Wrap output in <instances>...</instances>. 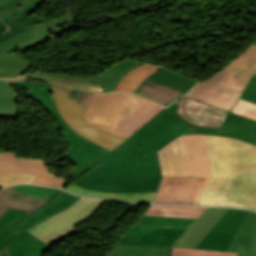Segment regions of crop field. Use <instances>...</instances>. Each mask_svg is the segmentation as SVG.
Segmentation results:
<instances>
[{"label": "crop field", "mask_w": 256, "mask_h": 256, "mask_svg": "<svg viewBox=\"0 0 256 256\" xmlns=\"http://www.w3.org/2000/svg\"><path fill=\"white\" fill-rule=\"evenodd\" d=\"M228 208L208 207L199 219L176 242L175 247L195 248Z\"/></svg>", "instance_id": "17"}, {"label": "crop field", "mask_w": 256, "mask_h": 256, "mask_svg": "<svg viewBox=\"0 0 256 256\" xmlns=\"http://www.w3.org/2000/svg\"><path fill=\"white\" fill-rule=\"evenodd\" d=\"M240 98L256 103V92L245 89Z\"/></svg>", "instance_id": "43"}, {"label": "crop field", "mask_w": 256, "mask_h": 256, "mask_svg": "<svg viewBox=\"0 0 256 256\" xmlns=\"http://www.w3.org/2000/svg\"><path fill=\"white\" fill-rule=\"evenodd\" d=\"M195 219L142 215L135 225L146 227L188 228Z\"/></svg>", "instance_id": "31"}, {"label": "crop field", "mask_w": 256, "mask_h": 256, "mask_svg": "<svg viewBox=\"0 0 256 256\" xmlns=\"http://www.w3.org/2000/svg\"><path fill=\"white\" fill-rule=\"evenodd\" d=\"M252 78H253V77H252ZM246 89H250V90L256 91V75H255L254 78L248 83V85L246 86Z\"/></svg>", "instance_id": "45"}, {"label": "crop field", "mask_w": 256, "mask_h": 256, "mask_svg": "<svg viewBox=\"0 0 256 256\" xmlns=\"http://www.w3.org/2000/svg\"><path fill=\"white\" fill-rule=\"evenodd\" d=\"M247 213V210L229 208L196 248L228 251Z\"/></svg>", "instance_id": "11"}, {"label": "crop field", "mask_w": 256, "mask_h": 256, "mask_svg": "<svg viewBox=\"0 0 256 256\" xmlns=\"http://www.w3.org/2000/svg\"><path fill=\"white\" fill-rule=\"evenodd\" d=\"M68 22H74L70 5L68 6L67 13L64 16H62L56 20L34 24V26L38 29V31L42 35L22 44L8 52H14L17 50L26 52L30 48H33V47L47 41V39L44 36H47V35L53 33L51 31L52 29L63 26L65 24H67Z\"/></svg>", "instance_id": "24"}, {"label": "crop field", "mask_w": 256, "mask_h": 256, "mask_svg": "<svg viewBox=\"0 0 256 256\" xmlns=\"http://www.w3.org/2000/svg\"><path fill=\"white\" fill-rule=\"evenodd\" d=\"M19 190L24 191L28 194L31 195H36V196H42V197H48L51 198L54 195H56V192H50V191H44V190H37V189H31L26 187L25 185H17L16 186Z\"/></svg>", "instance_id": "42"}, {"label": "crop field", "mask_w": 256, "mask_h": 256, "mask_svg": "<svg viewBox=\"0 0 256 256\" xmlns=\"http://www.w3.org/2000/svg\"><path fill=\"white\" fill-rule=\"evenodd\" d=\"M103 202L101 199L81 197L69 208L26 230L50 246L79 232L72 226L89 217Z\"/></svg>", "instance_id": "6"}, {"label": "crop field", "mask_w": 256, "mask_h": 256, "mask_svg": "<svg viewBox=\"0 0 256 256\" xmlns=\"http://www.w3.org/2000/svg\"><path fill=\"white\" fill-rule=\"evenodd\" d=\"M175 103L180 105L177 114L194 127L220 128L228 113L226 110L184 97Z\"/></svg>", "instance_id": "13"}, {"label": "crop field", "mask_w": 256, "mask_h": 256, "mask_svg": "<svg viewBox=\"0 0 256 256\" xmlns=\"http://www.w3.org/2000/svg\"><path fill=\"white\" fill-rule=\"evenodd\" d=\"M51 89L62 118L76 133L111 151L126 140L124 137L84 122L85 110L68 98L70 93L53 85H51Z\"/></svg>", "instance_id": "8"}, {"label": "crop field", "mask_w": 256, "mask_h": 256, "mask_svg": "<svg viewBox=\"0 0 256 256\" xmlns=\"http://www.w3.org/2000/svg\"><path fill=\"white\" fill-rule=\"evenodd\" d=\"M91 94V92L73 88L69 98L85 109Z\"/></svg>", "instance_id": "41"}, {"label": "crop field", "mask_w": 256, "mask_h": 256, "mask_svg": "<svg viewBox=\"0 0 256 256\" xmlns=\"http://www.w3.org/2000/svg\"><path fill=\"white\" fill-rule=\"evenodd\" d=\"M172 248L115 244L105 256H171Z\"/></svg>", "instance_id": "28"}, {"label": "crop field", "mask_w": 256, "mask_h": 256, "mask_svg": "<svg viewBox=\"0 0 256 256\" xmlns=\"http://www.w3.org/2000/svg\"><path fill=\"white\" fill-rule=\"evenodd\" d=\"M190 133L229 136L256 145V121L230 112L220 129L192 127L185 134Z\"/></svg>", "instance_id": "16"}, {"label": "crop field", "mask_w": 256, "mask_h": 256, "mask_svg": "<svg viewBox=\"0 0 256 256\" xmlns=\"http://www.w3.org/2000/svg\"><path fill=\"white\" fill-rule=\"evenodd\" d=\"M164 107L133 93H94L84 121L128 138Z\"/></svg>", "instance_id": "2"}, {"label": "crop field", "mask_w": 256, "mask_h": 256, "mask_svg": "<svg viewBox=\"0 0 256 256\" xmlns=\"http://www.w3.org/2000/svg\"><path fill=\"white\" fill-rule=\"evenodd\" d=\"M249 256H256V228L254 231L253 242H252Z\"/></svg>", "instance_id": "44"}, {"label": "crop field", "mask_w": 256, "mask_h": 256, "mask_svg": "<svg viewBox=\"0 0 256 256\" xmlns=\"http://www.w3.org/2000/svg\"><path fill=\"white\" fill-rule=\"evenodd\" d=\"M159 69V67L151 65H141L134 70L127 73L116 85L114 91L123 90L134 92L138 85L143 81L144 78L150 76V74Z\"/></svg>", "instance_id": "30"}, {"label": "crop field", "mask_w": 256, "mask_h": 256, "mask_svg": "<svg viewBox=\"0 0 256 256\" xmlns=\"http://www.w3.org/2000/svg\"><path fill=\"white\" fill-rule=\"evenodd\" d=\"M65 189L80 195L95 196L100 198L115 199L127 202H148L151 203L156 192H138V193H104L92 191L75 185H69Z\"/></svg>", "instance_id": "23"}, {"label": "crop field", "mask_w": 256, "mask_h": 256, "mask_svg": "<svg viewBox=\"0 0 256 256\" xmlns=\"http://www.w3.org/2000/svg\"><path fill=\"white\" fill-rule=\"evenodd\" d=\"M65 137L70 145L67 153L68 159L71 163L77 166L69 173L72 180L77 178L81 173L89 169L106 154L111 152L83 137Z\"/></svg>", "instance_id": "14"}, {"label": "crop field", "mask_w": 256, "mask_h": 256, "mask_svg": "<svg viewBox=\"0 0 256 256\" xmlns=\"http://www.w3.org/2000/svg\"><path fill=\"white\" fill-rule=\"evenodd\" d=\"M206 207L151 205L144 215L197 218Z\"/></svg>", "instance_id": "29"}, {"label": "crop field", "mask_w": 256, "mask_h": 256, "mask_svg": "<svg viewBox=\"0 0 256 256\" xmlns=\"http://www.w3.org/2000/svg\"><path fill=\"white\" fill-rule=\"evenodd\" d=\"M240 94L199 82L185 97L230 111Z\"/></svg>", "instance_id": "18"}, {"label": "crop field", "mask_w": 256, "mask_h": 256, "mask_svg": "<svg viewBox=\"0 0 256 256\" xmlns=\"http://www.w3.org/2000/svg\"><path fill=\"white\" fill-rule=\"evenodd\" d=\"M172 104L74 183L104 192L156 191L162 177L156 151L192 126Z\"/></svg>", "instance_id": "1"}, {"label": "crop field", "mask_w": 256, "mask_h": 256, "mask_svg": "<svg viewBox=\"0 0 256 256\" xmlns=\"http://www.w3.org/2000/svg\"><path fill=\"white\" fill-rule=\"evenodd\" d=\"M27 78V76H23V77H21V78H18V79H9V80H7L8 82H12V81H20V80H24V79H26Z\"/></svg>", "instance_id": "49"}, {"label": "crop field", "mask_w": 256, "mask_h": 256, "mask_svg": "<svg viewBox=\"0 0 256 256\" xmlns=\"http://www.w3.org/2000/svg\"><path fill=\"white\" fill-rule=\"evenodd\" d=\"M206 178H163L153 203L192 204Z\"/></svg>", "instance_id": "12"}, {"label": "crop field", "mask_w": 256, "mask_h": 256, "mask_svg": "<svg viewBox=\"0 0 256 256\" xmlns=\"http://www.w3.org/2000/svg\"><path fill=\"white\" fill-rule=\"evenodd\" d=\"M12 173H35L32 183L59 188L67 182L49 172L44 159L18 158L15 153H0V175Z\"/></svg>", "instance_id": "10"}, {"label": "crop field", "mask_w": 256, "mask_h": 256, "mask_svg": "<svg viewBox=\"0 0 256 256\" xmlns=\"http://www.w3.org/2000/svg\"><path fill=\"white\" fill-rule=\"evenodd\" d=\"M29 75L40 78V79L53 81V82H57V83H61V84L72 85V86H76L79 88H83V89H87V90H91V91H95V92H99V93H102V91H103V88H101V86L93 85L90 83L79 82V81H74V80H69V79H63V78L42 75V74H37V73H33V74H29Z\"/></svg>", "instance_id": "36"}, {"label": "crop field", "mask_w": 256, "mask_h": 256, "mask_svg": "<svg viewBox=\"0 0 256 256\" xmlns=\"http://www.w3.org/2000/svg\"><path fill=\"white\" fill-rule=\"evenodd\" d=\"M236 58V57H235ZM256 72V45L252 44L236 59L205 82L242 92L247 81Z\"/></svg>", "instance_id": "9"}, {"label": "crop field", "mask_w": 256, "mask_h": 256, "mask_svg": "<svg viewBox=\"0 0 256 256\" xmlns=\"http://www.w3.org/2000/svg\"><path fill=\"white\" fill-rule=\"evenodd\" d=\"M8 84V83H7ZM4 80H0V118L16 119L17 97Z\"/></svg>", "instance_id": "32"}, {"label": "crop field", "mask_w": 256, "mask_h": 256, "mask_svg": "<svg viewBox=\"0 0 256 256\" xmlns=\"http://www.w3.org/2000/svg\"><path fill=\"white\" fill-rule=\"evenodd\" d=\"M27 186L32 187V188H37V189H44V190H50V191L60 192V189H55V188L38 187V186H30V185H27Z\"/></svg>", "instance_id": "46"}, {"label": "crop field", "mask_w": 256, "mask_h": 256, "mask_svg": "<svg viewBox=\"0 0 256 256\" xmlns=\"http://www.w3.org/2000/svg\"><path fill=\"white\" fill-rule=\"evenodd\" d=\"M34 174H12L0 176V187L16 183H31Z\"/></svg>", "instance_id": "39"}, {"label": "crop field", "mask_w": 256, "mask_h": 256, "mask_svg": "<svg viewBox=\"0 0 256 256\" xmlns=\"http://www.w3.org/2000/svg\"><path fill=\"white\" fill-rule=\"evenodd\" d=\"M141 64H143V63H139V62H135V61H131V60L127 59V60L105 70L104 72H102L101 74H99L98 76L93 77V78L61 75V74H48V73H42V72H37V73L48 74V75H53V76H58V77H64V78L99 84L105 88L104 92H109V91H113L115 85L127 72H129L130 70H132L133 68H135Z\"/></svg>", "instance_id": "20"}, {"label": "crop field", "mask_w": 256, "mask_h": 256, "mask_svg": "<svg viewBox=\"0 0 256 256\" xmlns=\"http://www.w3.org/2000/svg\"><path fill=\"white\" fill-rule=\"evenodd\" d=\"M163 177H208L193 204H198L212 178L209 154L204 135H182L157 152Z\"/></svg>", "instance_id": "4"}, {"label": "crop field", "mask_w": 256, "mask_h": 256, "mask_svg": "<svg viewBox=\"0 0 256 256\" xmlns=\"http://www.w3.org/2000/svg\"><path fill=\"white\" fill-rule=\"evenodd\" d=\"M135 93L150 98L164 106H167L183 95L178 91H175L148 78L139 85Z\"/></svg>", "instance_id": "22"}, {"label": "crop field", "mask_w": 256, "mask_h": 256, "mask_svg": "<svg viewBox=\"0 0 256 256\" xmlns=\"http://www.w3.org/2000/svg\"><path fill=\"white\" fill-rule=\"evenodd\" d=\"M0 25H3L2 21L0 20Z\"/></svg>", "instance_id": "51"}, {"label": "crop field", "mask_w": 256, "mask_h": 256, "mask_svg": "<svg viewBox=\"0 0 256 256\" xmlns=\"http://www.w3.org/2000/svg\"><path fill=\"white\" fill-rule=\"evenodd\" d=\"M149 78L183 93L188 92L197 82V80L195 79L172 72L164 68H161L156 72L152 73Z\"/></svg>", "instance_id": "26"}, {"label": "crop field", "mask_w": 256, "mask_h": 256, "mask_svg": "<svg viewBox=\"0 0 256 256\" xmlns=\"http://www.w3.org/2000/svg\"><path fill=\"white\" fill-rule=\"evenodd\" d=\"M43 2L44 0H0V19L9 26L32 14Z\"/></svg>", "instance_id": "21"}, {"label": "crop field", "mask_w": 256, "mask_h": 256, "mask_svg": "<svg viewBox=\"0 0 256 256\" xmlns=\"http://www.w3.org/2000/svg\"><path fill=\"white\" fill-rule=\"evenodd\" d=\"M255 44H256V41H255Z\"/></svg>", "instance_id": "52"}, {"label": "crop field", "mask_w": 256, "mask_h": 256, "mask_svg": "<svg viewBox=\"0 0 256 256\" xmlns=\"http://www.w3.org/2000/svg\"><path fill=\"white\" fill-rule=\"evenodd\" d=\"M32 63L20 55L0 51V77H18Z\"/></svg>", "instance_id": "27"}, {"label": "crop field", "mask_w": 256, "mask_h": 256, "mask_svg": "<svg viewBox=\"0 0 256 256\" xmlns=\"http://www.w3.org/2000/svg\"><path fill=\"white\" fill-rule=\"evenodd\" d=\"M44 105L46 108H48L52 115L54 116V118L56 119L57 123L59 124V126L61 127L64 135H76V136H80L78 134H76L61 118L60 114L58 113L55 105H54V99H52L51 101L42 104Z\"/></svg>", "instance_id": "40"}, {"label": "crop field", "mask_w": 256, "mask_h": 256, "mask_svg": "<svg viewBox=\"0 0 256 256\" xmlns=\"http://www.w3.org/2000/svg\"><path fill=\"white\" fill-rule=\"evenodd\" d=\"M40 35L37 29L33 26L26 31L0 43V50L8 51L36 36Z\"/></svg>", "instance_id": "34"}, {"label": "crop field", "mask_w": 256, "mask_h": 256, "mask_svg": "<svg viewBox=\"0 0 256 256\" xmlns=\"http://www.w3.org/2000/svg\"><path fill=\"white\" fill-rule=\"evenodd\" d=\"M172 256H237V253L173 248Z\"/></svg>", "instance_id": "37"}, {"label": "crop field", "mask_w": 256, "mask_h": 256, "mask_svg": "<svg viewBox=\"0 0 256 256\" xmlns=\"http://www.w3.org/2000/svg\"><path fill=\"white\" fill-rule=\"evenodd\" d=\"M231 112L256 120V104L239 99Z\"/></svg>", "instance_id": "38"}, {"label": "crop field", "mask_w": 256, "mask_h": 256, "mask_svg": "<svg viewBox=\"0 0 256 256\" xmlns=\"http://www.w3.org/2000/svg\"><path fill=\"white\" fill-rule=\"evenodd\" d=\"M255 224L256 213L249 212L229 251L238 252V256H248Z\"/></svg>", "instance_id": "25"}, {"label": "crop field", "mask_w": 256, "mask_h": 256, "mask_svg": "<svg viewBox=\"0 0 256 256\" xmlns=\"http://www.w3.org/2000/svg\"><path fill=\"white\" fill-rule=\"evenodd\" d=\"M213 170V178L198 205H219L233 175L227 137L205 135Z\"/></svg>", "instance_id": "7"}, {"label": "crop field", "mask_w": 256, "mask_h": 256, "mask_svg": "<svg viewBox=\"0 0 256 256\" xmlns=\"http://www.w3.org/2000/svg\"><path fill=\"white\" fill-rule=\"evenodd\" d=\"M7 29V27L5 26V25H3V26H1L0 27V33H2L4 30H6Z\"/></svg>", "instance_id": "50"}, {"label": "crop field", "mask_w": 256, "mask_h": 256, "mask_svg": "<svg viewBox=\"0 0 256 256\" xmlns=\"http://www.w3.org/2000/svg\"><path fill=\"white\" fill-rule=\"evenodd\" d=\"M186 229L146 228L133 226L118 243L143 246L172 247Z\"/></svg>", "instance_id": "15"}, {"label": "crop field", "mask_w": 256, "mask_h": 256, "mask_svg": "<svg viewBox=\"0 0 256 256\" xmlns=\"http://www.w3.org/2000/svg\"><path fill=\"white\" fill-rule=\"evenodd\" d=\"M17 241V240H16ZM15 242V241H14ZM0 256H9V249L8 246L4 249L0 250Z\"/></svg>", "instance_id": "47"}, {"label": "crop field", "mask_w": 256, "mask_h": 256, "mask_svg": "<svg viewBox=\"0 0 256 256\" xmlns=\"http://www.w3.org/2000/svg\"><path fill=\"white\" fill-rule=\"evenodd\" d=\"M12 83L16 85H23V86L33 88L30 94V97L40 101L41 103H44L52 99L51 89L49 84L31 83V82H25V81L12 82Z\"/></svg>", "instance_id": "33"}, {"label": "crop field", "mask_w": 256, "mask_h": 256, "mask_svg": "<svg viewBox=\"0 0 256 256\" xmlns=\"http://www.w3.org/2000/svg\"><path fill=\"white\" fill-rule=\"evenodd\" d=\"M47 200V198L25 194L15 186L0 189V217L9 208L26 211L28 215Z\"/></svg>", "instance_id": "19"}, {"label": "crop field", "mask_w": 256, "mask_h": 256, "mask_svg": "<svg viewBox=\"0 0 256 256\" xmlns=\"http://www.w3.org/2000/svg\"><path fill=\"white\" fill-rule=\"evenodd\" d=\"M234 176L222 200L223 206L256 210V146L229 138Z\"/></svg>", "instance_id": "5"}, {"label": "crop field", "mask_w": 256, "mask_h": 256, "mask_svg": "<svg viewBox=\"0 0 256 256\" xmlns=\"http://www.w3.org/2000/svg\"><path fill=\"white\" fill-rule=\"evenodd\" d=\"M79 198L63 191L27 218L25 212L9 209L0 218V249L18 239V242L9 246L10 256H44L49 246L25 229L69 207Z\"/></svg>", "instance_id": "3"}, {"label": "crop field", "mask_w": 256, "mask_h": 256, "mask_svg": "<svg viewBox=\"0 0 256 256\" xmlns=\"http://www.w3.org/2000/svg\"><path fill=\"white\" fill-rule=\"evenodd\" d=\"M52 84H53V83H52ZM53 85L59 86V87H61V88L65 89V90H67V91H69V92H71V90H72V88H71V87H66V86L57 85V84H53Z\"/></svg>", "instance_id": "48"}, {"label": "crop field", "mask_w": 256, "mask_h": 256, "mask_svg": "<svg viewBox=\"0 0 256 256\" xmlns=\"http://www.w3.org/2000/svg\"><path fill=\"white\" fill-rule=\"evenodd\" d=\"M42 21H45L43 20L41 17H39L37 14H32L30 16H28L27 18L21 20L20 22L10 26L5 33H3L1 36H0V42L33 26L32 23H37V22H42Z\"/></svg>", "instance_id": "35"}]
</instances>
